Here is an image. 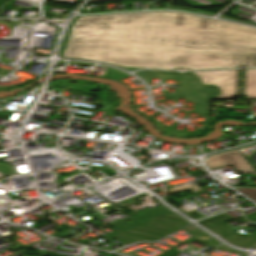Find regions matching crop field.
<instances>
[{
    "mask_svg": "<svg viewBox=\"0 0 256 256\" xmlns=\"http://www.w3.org/2000/svg\"><path fill=\"white\" fill-rule=\"evenodd\" d=\"M89 1H102V0H89Z\"/></svg>",
    "mask_w": 256,
    "mask_h": 256,
    "instance_id": "crop-field-8",
    "label": "crop field"
},
{
    "mask_svg": "<svg viewBox=\"0 0 256 256\" xmlns=\"http://www.w3.org/2000/svg\"><path fill=\"white\" fill-rule=\"evenodd\" d=\"M243 94L249 99H256V70H246Z\"/></svg>",
    "mask_w": 256,
    "mask_h": 256,
    "instance_id": "crop-field-6",
    "label": "crop field"
},
{
    "mask_svg": "<svg viewBox=\"0 0 256 256\" xmlns=\"http://www.w3.org/2000/svg\"><path fill=\"white\" fill-rule=\"evenodd\" d=\"M63 57L151 69L256 67V29L175 12L80 17Z\"/></svg>",
    "mask_w": 256,
    "mask_h": 256,
    "instance_id": "crop-field-1",
    "label": "crop field"
},
{
    "mask_svg": "<svg viewBox=\"0 0 256 256\" xmlns=\"http://www.w3.org/2000/svg\"><path fill=\"white\" fill-rule=\"evenodd\" d=\"M241 191L243 194L256 201V189H237Z\"/></svg>",
    "mask_w": 256,
    "mask_h": 256,
    "instance_id": "crop-field-7",
    "label": "crop field"
},
{
    "mask_svg": "<svg viewBox=\"0 0 256 256\" xmlns=\"http://www.w3.org/2000/svg\"><path fill=\"white\" fill-rule=\"evenodd\" d=\"M206 161L210 169L232 164L239 173H252L253 175H256V172L236 151L212 156L207 158Z\"/></svg>",
    "mask_w": 256,
    "mask_h": 256,
    "instance_id": "crop-field-4",
    "label": "crop field"
},
{
    "mask_svg": "<svg viewBox=\"0 0 256 256\" xmlns=\"http://www.w3.org/2000/svg\"><path fill=\"white\" fill-rule=\"evenodd\" d=\"M223 238L230 241L232 244L246 248L256 245V232L249 236H243L237 232H233L223 236Z\"/></svg>",
    "mask_w": 256,
    "mask_h": 256,
    "instance_id": "crop-field-5",
    "label": "crop field"
},
{
    "mask_svg": "<svg viewBox=\"0 0 256 256\" xmlns=\"http://www.w3.org/2000/svg\"><path fill=\"white\" fill-rule=\"evenodd\" d=\"M170 212V210H168L166 207L161 206V207H157L155 209H152L150 211H147L145 213L139 214L137 216L128 218V219H124L121 221H118L116 223L111 224L113 227L117 228L119 231L102 236V238L107 241L113 237H116L122 233H125L129 230H132L138 226H140L143 223H147L159 216H162L166 213ZM130 221V222H128Z\"/></svg>",
    "mask_w": 256,
    "mask_h": 256,
    "instance_id": "crop-field-3",
    "label": "crop field"
},
{
    "mask_svg": "<svg viewBox=\"0 0 256 256\" xmlns=\"http://www.w3.org/2000/svg\"><path fill=\"white\" fill-rule=\"evenodd\" d=\"M238 71H203L193 73L201 78L202 84L218 86L221 89V96L218 98H233L237 94Z\"/></svg>",
    "mask_w": 256,
    "mask_h": 256,
    "instance_id": "crop-field-2",
    "label": "crop field"
}]
</instances>
